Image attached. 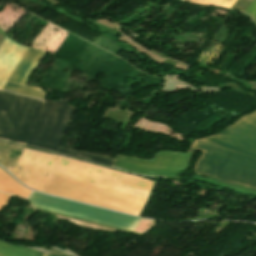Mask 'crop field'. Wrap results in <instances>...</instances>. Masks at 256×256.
<instances>
[{"instance_id":"8","label":"crop field","mask_w":256,"mask_h":256,"mask_svg":"<svg viewBox=\"0 0 256 256\" xmlns=\"http://www.w3.org/2000/svg\"><path fill=\"white\" fill-rule=\"evenodd\" d=\"M43 55L44 52L29 47L2 89L43 99L45 92L26 86L34 68Z\"/></svg>"},{"instance_id":"1","label":"crop field","mask_w":256,"mask_h":256,"mask_svg":"<svg viewBox=\"0 0 256 256\" xmlns=\"http://www.w3.org/2000/svg\"><path fill=\"white\" fill-rule=\"evenodd\" d=\"M153 182L59 156L40 192L138 215Z\"/></svg>"},{"instance_id":"13","label":"crop field","mask_w":256,"mask_h":256,"mask_svg":"<svg viewBox=\"0 0 256 256\" xmlns=\"http://www.w3.org/2000/svg\"><path fill=\"white\" fill-rule=\"evenodd\" d=\"M244 12L252 16L256 21V0H254Z\"/></svg>"},{"instance_id":"5","label":"crop field","mask_w":256,"mask_h":256,"mask_svg":"<svg viewBox=\"0 0 256 256\" xmlns=\"http://www.w3.org/2000/svg\"><path fill=\"white\" fill-rule=\"evenodd\" d=\"M74 111L66 101H46L26 145L56 152Z\"/></svg>"},{"instance_id":"3","label":"crop field","mask_w":256,"mask_h":256,"mask_svg":"<svg viewBox=\"0 0 256 256\" xmlns=\"http://www.w3.org/2000/svg\"><path fill=\"white\" fill-rule=\"evenodd\" d=\"M44 102L0 91V139L26 144Z\"/></svg>"},{"instance_id":"7","label":"crop field","mask_w":256,"mask_h":256,"mask_svg":"<svg viewBox=\"0 0 256 256\" xmlns=\"http://www.w3.org/2000/svg\"><path fill=\"white\" fill-rule=\"evenodd\" d=\"M199 140L256 158V112L238 119L215 135Z\"/></svg>"},{"instance_id":"6","label":"crop field","mask_w":256,"mask_h":256,"mask_svg":"<svg viewBox=\"0 0 256 256\" xmlns=\"http://www.w3.org/2000/svg\"><path fill=\"white\" fill-rule=\"evenodd\" d=\"M194 157L191 153L159 150L152 159L131 158L116 155L113 167L157 176L182 177V171L188 169Z\"/></svg>"},{"instance_id":"10","label":"crop field","mask_w":256,"mask_h":256,"mask_svg":"<svg viewBox=\"0 0 256 256\" xmlns=\"http://www.w3.org/2000/svg\"><path fill=\"white\" fill-rule=\"evenodd\" d=\"M0 192L14 194L23 198H27L31 193L30 190L21 186L11 176L0 168Z\"/></svg>"},{"instance_id":"4","label":"crop field","mask_w":256,"mask_h":256,"mask_svg":"<svg viewBox=\"0 0 256 256\" xmlns=\"http://www.w3.org/2000/svg\"><path fill=\"white\" fill-rule=\"evenodd\" d=\"M33 207L70 217L133 231L139 218L98 209L46 195L32 193L28 199Z\"/></svg>"},{"instance_id":"9","label":"crop field","mask_w":256,"mask_h":256,"mask_svg":"<svg viewBox=\"0 0 256 256\" xmlns=\"http://www.w3.org/2000/svg\"><path fill=\"white\" fill-rule=\"evenodd\" d=\"M23 151V148L0 143V164L11 173Z\"/></svg>"},{"instance_id":"15","label":"crop field","mask_w":256,"mask_h":256,"mask_svg":"<svg viewBox=\"0 0 256 256\" xmlns=\"http://www.w3.org/2000/svg\"><path fill=\"white\" fill-rule=\"evenodd\" d=\"M42 249H45V250H48V251H51V252L57 253V254H59V255H66V256H69V255H67V254H64V253H61V252H58V251H55V250L49 249V248H47V247H43Z\"/></svg>"},{"instance_id":"12","label":"crop field","mask_w":256,"mask_h":256,"mask_svg":"<svg viewBox=\"0 0 256 256\" xmlns=\"http://www.w3.org/2000/svg\"><path fill=\"white\" fill-rule=\"evenodd\" d=\"M57 152H60L62 154H66V155H70V156H74V157H78V158H82V159H86V160H90V161H94V162H98V163L107 164V165H112V163H113V160L105 159L102 157H98L95 155H91V154H87V153L75 151V150L59 148Z\"/></svg>"},{"instance_id":"14","label":"crop field","mask_w":256,"mask_h":256,"mask_svg":"<svg viewBox=\"0 0 256 256\" xmlns=\"http://www.w3.org/2000/svg\"><path fill=\"white\" fill-rule=\"evenodd\" d=\"M10 197L11 195L0 193V210H2L5 207Z\"/></svg>"},{"instance_id":"2","label":"crop field","mask_w":256,"mask_h":256,"mask_svg":"<svg viewBox=\"0 0 256 256\" xmlns=\"http://www.w3.org/2000/svg\"><path fill=\"white\" fill-rule=\"evenodd\" d=\"M203 152L194 170L226 183L256 189V160L194 140L189 152Z\"/></svg>"},{"instance_id":"11","label":"crop field","mask_w":256,"mask_h":256,"mask_svg":"<svg viewBox=\"0 0 256 256\" xmlns=\"http://www.w3.org/2000/svg\"><path fill=\"white\" fill-rule=\"evenodd\" d=\"M0 256H52L19 245L0 241Z\"/></svg>"}]
</instances>
